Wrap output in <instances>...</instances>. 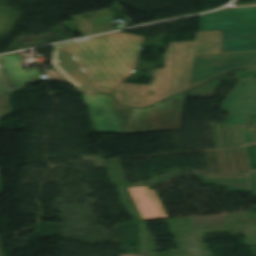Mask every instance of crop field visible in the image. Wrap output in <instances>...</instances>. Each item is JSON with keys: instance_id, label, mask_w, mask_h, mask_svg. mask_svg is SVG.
<instances>
[{"instance_id": "1", "label": "crop field", "mask_w": 256, "mask_h": 256, "mask_svg": "<svg viewBox=\"0 0 256 256\" xmlns=\"http://www.w3.org/2000/svg\"><path fill=\"white\" fill-rule=\"evenodd\" d=\"M145 37L114 33L53 46L70 51L100 92L114 88L135 72Z\"/></svg>"}, {"instance_id": "2", "label": "crop field", "mask_w": 256, "mask_h": 256, "mask_svg": "<svg viewBox=\"0 0 256 256\" xmlns=\"http://www.w3.org/2000/svg\"><path fill=\"white\" fill-rule=\"evenodd\" d=\"M220 53V32L197 33L194 42L171 43L165 69H153L150 86L122 83L113 95L122 105L147 107L187 89L193 54Z\"/></svg>"}, {"instance_id": "3", "label": "crop field", "mask_w": 256, "mask_h": 256, "mask_svg": "<svg viewBox=\"0 0 256 256\" xmlns=\"http://www.w3.org/2000/svg\"><path fill=\"white\" fill-rule=\"evenodd\" d=\"M252 114L231 113L224 124L211 123L215 147H236L256 142V118L253 127L247 130Z\"/></svg>"}, {"instance_id": "4", "label": "crop field", "mask_w": 256, "mask_h": 256, "mask_svg": "<svg viewBox=\"0 0 256 256\" xmlns=\"http://www.w3.org/2000/svg\"><path fill=\"white\" fill-rule=\"evenodd\" d=\"M222 174L256 169V145L217 151Z\"/></svg>"}, {"instance_id": "5", "label": "crop field", "mask_w": 256, "mask_h": 256, "mask_svg": "<svg viewBox=\"0 0 256 256\" xmlns=\"http://www.w3.org/2000/svg\"><path fill=\"white\" fill-rule=\"evenodd\" d=\"M129 189L144 220L168 218L155 191L149 190L148 187H135Z\"/></svg>"}, {"instance_id": "6", "label": "crop field", "mask_w": 256, "mask_h": 256, "mask_svg": "<svg viewBox=\"0 0 256 256\" xmlns=\"http://www.w3.org/2000/svg\"><path fill=\"white\" fill-rule=\"evenodd\" d=\"M207 185L227 187L231 192H249L247 175H197Z\"/></svg>"}, {"instance_id": "7", "label": "crop field", "mask_w": 256, "mask_h": 256, "mask_svg": "<svg viewBox=\"0 0 256 256\" xmlns=\"http://www.w3.org/2000/svg\"><path fill=\"white\" fill-rule=\"evenodd\" d=\"M256 69H249L247 72L236 74V78L238 79H247V78H255Z\"/></svg>"}, {"instance_id": "8", "label": "crop field", "mask_w": 256, "mask_h": 256, "mask_svg": "<svg viewBox=\"0 0 256 256\" xmlns=\"http://www.w3.org/2000/svg\"><path fill=\"white\" fill-rule=\"evenodd\" d=\"M252 197H256V172L250 173Z\"/></svg>"}]
</instances>
